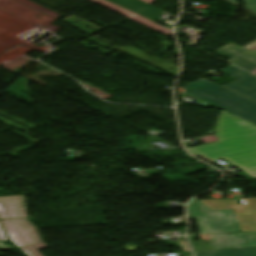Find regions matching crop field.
I'll use <instances>...</instances> for the list:
<instances>
[{
    "label": "crop field",
    "mask_w": 256,
    "mask_h": 256,
    "mask_svg": "<svg viewBox=\"0 0 256 256\" xmlns=\"http://www.w3.org/2000/svg\"><path fill=\"white\" fill-rule=\"evenodd\" d=\"M231 115L223 111L220 116L219 142L187 150L208 162L225 158L256 179V126Z\"/></svg>",
    "instance_id": "obj_1"
},
{
    "label": "crop field",
    "mask_w": 256,
    "mask_h": 256,
    "mask_svg": "<svg viewBox=\"0 0 256 256\" xmlns=\"http://www.w3.org/2000/svg\"><path fill=\"white\" fill-rule=\"evenodd\" d=\"M180 90L256 125L255 102L206 79H200Z\"/></svg>",
    "instance_id": "obj_2"
},
{
    "label": "crop field",
    "mask_w": 256,
    "mask_h": 256,
    "mask_svg": "<svg viewBox=\"0 0 256 256\" xmlns=\"http://www.w3.org/2000/svg\"><path fill=\"white\" fill-rule=\"evenodd\" d=\"M189 217L195 218L201 234L241 231L233 210L212 211L197 199L189 204Z\"/></svg>",
    "instance_id": "obj_3"
},
{
    "label": "crop field",
    "mask_w": 256,
    "mask_h": 256,
    "mask_svg": "<svg viewBox=\"0 0 256 256\" xmlns=\"http://www.w3.org/2000/svg\"><path fill=\"white\" fill-rule=\"evenodd\" d=\"M212 210L234 209L242 231L256 230V199L243 200L244 205H237L235 200L200 201Z\"/></svg>",
    "instance_id": "obj_4"
},
{
    "label": "crop field",
    "mask_w": 256,
    "mask_h": 256,
    "mask_svg": "<svg viewBox=\"0 0 256 256\" xmlns=\"http://www.w3.org/2000/svg\"><path fill=\"white\" fill-rule=\"evenodd\" d=\"M10 239L18 248L43 242L38 230L27 218L1 220Z\"/></svg>",
    "instance_id": "obj_5"
},
{
    "label": "crop field",
    "mask_w": 256,
    "mask_h": 256,
    "mask_svg": "<svg viewBox=\"0 0 256 256\" xmlns=\"http://www.w3.org/2000/svg\"><path fill=\"white\" fill-rule=\"evenodd\" d=\"M212 250L256 246V232L210 235Z\"/></svg>",
    "instance_id": "obj_6"
},
{
    "label": "crop field",
    "mask_w": 256,
    "mask_h": 256,
    "mask_svg": "<svg viewBox=\"0 0 256 256\" xmlns=\"http://www.w3.org/2000/svg\"><path fill=\"white\" fill-rule=\"evenodd\" d=\"M220 49V48H219ZM217 52L231 58L229 63L256 74V51L252 52L244 47L230 44Z\"/></svg>",
    "instance_id": "obj_7"
},
{
    "label": "crop field",
    "mask_w": 256,
    "mask_h": 256,
    "mask_svg": "<svg viewBox=\"0 0 256 256\" xmlns=\"http://www.w3.org/2000/svg\"><path fill=\"white\" fill-rule=\"evenodd\" d=\"M221 71L237 79L224 86L256 101V77L255 76L245 73L232 66H229Z\"/></svg>",
    "instance_id": "obj_8"
},
{
    "label": "crop field",
    "mask_w": 256,
    "mask_h": 256,
    "mask_svg": "<svg viewBox=\"0 0 256 256\" xmlns=\"http://www.w3.org/2000/svg\"><path fill=\"white\" fill-rule=\"evenodd\" d=\"M27 217L24 196L0 197V219Z\"/></svg>",
    "instance_id": "obj_9"
},
{
    "label": "crop field",
    "mask_w": 256,
    "mask_h": 256,
    "mask_svg": "<svg viewBox=\"0 0 256 256\" xmlns=\"http://www.w3.org/2000/svg\"><path fill=\"white\" fill-rule=\"evenodd\" d=\"M90 1H93V2H95V3H97V4L101 5V6H103L105 8H108L110 10H113V11H115L117 13H120V14H122V15H124V16L132 19V20H134V21H137L139 23L147 25V26H149V27H151V28H153L155 30H159L160 32H162V33L168 35L169 37H171V30L166 28V27H163V26H161V25H159L157 23H154V22H152L150 20L142 18V17H140L138 15H135V14H133V13L127 11V10H124V9H122V8L116 6V5H113V4H111V3H109V2H107L105 0H90Z\"/></svg>",
    "instance_id": "obj_10"
},
{
    "label": "crop field",
    "mask_w": 256,
    "mask_h": 256,
    "mask_svg": "<svg viewBox=\"0 0 256 256\" xmlns=\"http://www.w3.org/2000/svg\"><path fill=\"white\" fill-rule=\"evenodd\" d=\"M196 256H256V247L220 251H199Z\"/></svg>",
    "instance_id": "obj_11"
},
{
    "label": "crop field",
    "mask_w": 256,
    "mask_h": 256,
    "mask_svg": "<svg viewBox=\"0 0 256 256\" xmlns=\"http://www.w3.org/2000/svg\"><path fill=\"white\" fill-rule=\"evenodd\" d=\"M114 3L124 9H127L135 14H138L150 7L151 5L141 1V0H107Z\"/></svg>",
    "instance_id": "obj_12"
},
{
    "label": "crop field",
    "mask_w": 256,
    "mask_h": 256,
    "mask_svg": "<svg viewBox=\"0 0 256 256\" xmlns=\"http://www.w3.org/2000/svg\"><path fill=\"white\" fill-rule=\"evenodd\" d=\"M41 248H47L44 243L22 248L29 256H43L38 250Z\"/></svg>",
    "instance_id": "obj_13"
},
{
    "label": "crop field",
    "mask_w": 256,
    "mask_h": 256,
    "mask_svg": "<svg viewBox=\"0 0 256 256\" xmlns=\"http://www.w3.org/2000/svg\"><path fill=\"white\" fill-rule=\"evenodd\" d=\"M229 1L235 3L234 2L235 0H229ZM244 1H246L245 8L256 13V0H244ZM235 4H237V3H235Z\"/></svg>",
    "instance_id": "obj_14"
},
{
    "label": "crop field",
    "mask_w": 256,
    "mask_h": 256,
    "mask_svg": "<svg viewBox=\"0 0 256 256\" xmlns=\"http://www.w3.org/2000/svg\"><path fill=\"white\" fill-rule=\"evenodd\" d=\"M7 240L6 236H5V233L0 225V241H5ZM0 249H3V250H13L11 246H8V247H5L3 245V243H0Z\"/></svg>",
    "instance_id": "obj_15"
},
{
    "label": "crop field",
    "mask_w": 256,
    "mask_h": 256,
    "mask_svg": "<svg viewBox=\"0 0 256 256\" xmlns=\"http://www.w3.org/2000/svg\"><path fill=\"white\" fill-rule=\"evenodd\" d=\"M143 1H145V2H147V3H149V4L155 2V0H143Z\"/></svg>",
    "instance_id": "obj_16"
}]
</instances>
